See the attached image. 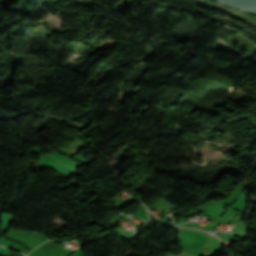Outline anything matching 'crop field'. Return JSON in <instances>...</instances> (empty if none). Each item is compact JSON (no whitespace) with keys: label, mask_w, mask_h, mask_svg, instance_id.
<instances>
[{"label":"crop field","mask_w":256,"mask_h":256,"mask_svg":"<svg viewBox=\"0 0 256 256\" xmlns=\"http://www.w3.org/2000/svg\"><path fill=\"white\" fill-rule=\"evenodd\" d=\"M206 3H208V2H206ZM208 4H211V3H208ZM211 5H214V4H211ZM214 6L219 7V8H221V9L227 11V12L236 14V15H238V16L256 24V17L255 16H252V15H249V14H246V13H243V12L235 11V10H232V9H228V8H225V7H221V6H218V5H214Z\"/></svg>","instance_id":"8a807250"}]
</instances>
